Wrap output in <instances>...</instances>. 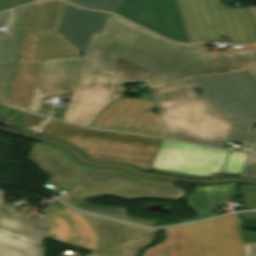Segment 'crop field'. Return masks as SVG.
Segmentation results:
<instances>
[{
	"label": "crop field",
	"instance_id": "6",
	"mask_svg": "<svg viewBox=\"0 0 256 256\" xmlns=\"http://www.w3.org/2000/svg\"><path fill=\"white\" fill-rule=\"evenodd\" d=\"M165 241L143 256H241L239 214L165 229Z\"/></svg>",
	"mask_w": 256,
	"mask_h": 256
},
{
	"label": "crop field",
	"instance_id": "10",
	"mask_svg": "<svg viewBox=\"0 0 256 256\" xmlns=\"http://www.w3.org/2000/svg\"><path fill=\"white\" fill-rule=\"evenodd\" d=\"M229 151L163 140L150 171L185 177L211 178L221 173Z\"/></svg>",
	"mask_w": 256,
	"mask_h": 256
},
{
	"label": "crop field",
	"instance_id": "3",
	"mask_svg": "<svg viewBox=\"0 0 256 256\" xmlns=\"http://www.w3.org/2000/svg\"><path fill=\"white\" fill-rule=\"evenodd\" d=\"M191 89L187 80L150 91L171 138L220 148L224 141L242 143L239 149L254 148L255 125L226 121Z\"/></svg>",
	"mask_w": 256,
	"mask_h": 256
},
{
	"label": "crop field",
	"instance_id": "4",
	"mask_svg": "<svg viewBox=\"0 0 256 256\" xmlns=\"http://www.w3.org/2000/svg\"><path fill=\"white\" fill-rule=\"evenodd\" d=\"M158 231L83 214L51 201L46 236L106 256H135Z\"/></svg>",
	"mask_w": 256,
	"mask_h": 256
},
{
	"label": "crop field",
	"instance_id": "5",
	"mask_svg": "<svg viewBox=\"0 0 256 256\" xmlns=\"http://www.w3.org/2000/svg\"><path fill=\"white\" fill-rule=\"evenodd\" d=\"M65 4L47 0L30 5L8 104L28 110L43 59L82 55L56 32Z\"/></svg>",
	"mask_w": 256,
	"mask_h": 256
},
{
	"label": "crop field",
	"instance_id": "31",
	"mask_svg": "<svg viewBox=\"0 0 256 256\" xmlns=\"http://www.w3.org/2000/svg\"><path fill=\"white\" fill-rule=\"evenodd\" d=\"M33 1H37V0H32L31 2H33Z\"/></svg>",
	"mask_w": 256,
	"mask_h": 256
},
{
	"label": "crop field",
	"instance_id": "18",
	"mask_svg": "<svg viewBox=\"0 0 256 256\" xmlns=\"http://www.w3.org/2000/svg\"><path fill=\"white\" fill-rule=\"evenodd\" d=\"M246 155L247 153L244 152L231 151L223 174H226L225 176H240Z\"/></svg>",
	"mask_w": 256,
	"mask_h": 256
},
{
	"label": "crop field",
	"instance_id": "15",
	"mask_svg": "<svg viewBox=\"0 0 256 256\" xmlns=\"http://www.w3.org/2000/svg\"><path fill=\"white\" fill-rule=\"evenodd\" d=\"M107 15L78 9L67 3L57 32L84 55L92 31L103 32Z\"/></svg>",
	"mask_w": 256,
	"mask_h": 256
},
{
	"label": "crop field",
	"instance_id": "16",
	"mask_svg": "<svg viewBox=\"0 0 256 256\" xmlns=\"http://www.w3.org/2000/svg\"><path fill=\"white\" fill-rule=\"evenodd\" d=\"M236 184L237 183L204 185V187H197L194 194L187 197V204L190 208L197 210L198 217L172 223H182L216 216V214L209 208L222 206L220 203L226 201L227 198L237 196L235 190ZM172 223H166L163 225Z\"/></svg>",
	"mask_w": 256,
	"mask_h": 256
},
{
	"label": "crop field",
	"instance_id": "7",
	"mask_svg": "<svg viewBox=\"0 0 256 256\" xmlns=\"http://www.w3.org/2000/svg\"><path fill=\"white\" fill-rule=\"evenodd\" d=\"M57 140L95 161L122 163L150 170L162 140L130 134L102 132L62 124Z\"/></svg>",
	"mask_w": 256,
	"mask_h": 256
},
{
	"label": "crop field",
	"instance_id": "14",
	"mask_svg": "<svg viewBox=\"0 0 256 256\" xmlns=\"http://www.w3.org/2000/svg\"><path fill=\"white\" fill-rule=\"evenodd\" d=\"M28 7L29 5L14 10L8 31L0 29V102L7 101ZM10 13L11 11L0 14V26L8 24Z\"/></svg>",
	"mask_w": 256,
	"mask_h": 256
},
{
	"label": "crop field",
	"instance_id": "17",
	"mask_svg": "<svg viewBox=\"0 0 256 256\" xmlns=\"http://www.w3.org/2000/svg\"><path fill=\"white\" fill-rule=\"evenodd\" d=\"M77 6L114 12L124 0H67Z\"/></svg>",
	"mask_w": 256,
	"mask_h": 256
},
{
	"label": "crop field",
	"instance_id": "29",
	"mask_svg": "<svg viewBox=\"0 0 256 256\" xmlns=\"http://www.w3.org/2000/svg\"><path fill=\"white\" fill-rule=\"evenodd\" d=\"M256 80V71L248 72Z\"/></svg>",
	"mask_w": 256,
	"mask_h": 256
},
{
	"label": "crop field",
	"instance_id": "25",
	"mask_svg": "<svg viewBox=\"0 0 256 256\" xmlns=\"http://www.w3.org/2000/svg\"><path fill=\"white\" fill-rule=\"evenodd\" d=\"M46 120H47L46 118H42V117L27 113L25 122H24V126L21 131L27 133L31 129L42 125Z\"/></svg>",
	"mask_w": 256,
	"mask_h": 256
},
{
	"label": "crop field",
	"instance_id": "2",
	"mask_svg": "<svg viewBox=\"0 0 256 256\" xmlns=\"http://www.w3.org/2000/svg\"><path fill=\"white\" fill-rule=\"evenodd\" d=\"M30 161L51 179L47 183L72 195L61 198L81 210L104 214L144 225L153 226L132 218L123 208L92 205L87 199L95 196L114 195L126 199L160 197L180 199L184 192L173 185L140 180L118 172H102L82 168L66 158L61 151L34 145Z\"/></svg>",
	"mask_w": 256,
	"mask_h": 256
},
{
	"label": "crop field",
	"instance_id": "12",
	"mask_svg": "<svg viewBox=\"0 0 256 256\" xmlns=\"http://www.w3.org/2000/svg\"><path fill=\"white\" fill-rule=\"evenodd\" d=\"M0 190V256H40L44 216L13 211L2 203Z\"/></svg>",
	"mask_w": 256,
	"mask_h": 256
},
{
	"label": "crop field",
	"instance_id": "13",
	"mask_svg": "<svg viewBox=\"0 0 256 256\" xmlns=\"http://www.w3.org/2000/svg\"><path fill=\"white\" fill-rule=\"evenodd\" d=\"M114 13L167 39L190 43L176 0H125Z\"/></svg>",
	"mask_w": 256,
	"mask_h": 256
},
{
	"label": "crop field",
	"instance_id": "11",
	"mask_svg": "<svg viewBox=\"0 0 256 256\" xmlns=\"http://www.w3.org/2000/svg\"><path fill=\"white\" fill-rule=\"evenodd\" d=\"M151 97L120 98L108 105L96 118L92 127L170 138Z\"/></svg>",
	"mask_w": 256,
	"mask_h": 256
},
{
	"label": "crop field",
	"instance_id": "32",
	"mask_svg": "<svg viewBox=\"0 0 256 256\" xmlns=\"http://www.w3.org/2000/svg\"><path fill=\"white\" fill-rule=\"evenodd\" d=\"M138 219V218H137ZM141 220H143V219H141ZM147 221V220H146ZM151 222V221H150Z\"/></svg>",
	"mask_w": 256,
	"mask_h": 256
},
{
	"label": "crop field",
	"instance_id": "30",
	"mask_svg": "<svg viewBox=\"0 0 256 256\" xmlns=\"http://www.w3.org/2000/svg\"><path fill=\"white\" fill-rule=\"evenodd\" d=\"M87 256H99V255H95V254H89V255H87Z\"/></svg>",
	"mask_w": 256,
	"mask_h": 256
},
{
	"label": "crop field",
	"instance_id": "21",
	"mask_svg": "<svg viewBox=\"0 0 256 256\" xmlns=\"http://www.w3.org/2000/svg\"><path fill=\"white\" fill-rule=\"evenodd\" d=\"M34 144L45 145V146L57 148V149L61 150V151L63 152V154H64L65 156H67L70 160H72L74 163H76V164H78V165H80V166H82V167L92 168V169H96V170H103V171H118V172H122V173H125V174H127V175H130V176L136 177V178L147 179V180H154V181H160V182H165V183L172 184V182H170V181H164V180H157V179L139 177V176H136V175H134V174H132V173H129V172H127V171H124V170H113V169H105V168H97V167L86 166V165H83V164L77 162L75 159H73V158L69 155V153H68L66 150H64V149H62V148H58V147H55V146H52V145H49V144H46V143H34Z\"/></svg>",
	"mask_w": 256,
	"mask_h": 256
},
{
	"label": "crop field",
	"instance_id": "23",
	"mask_svg": "<svg viewBox=\"0 0 256 256\" xmlns=\"http://www.w3.org/2000/svg\"><path fill=\"white\" fill-rule=\"evenodd\" d=\"M241 177L256 178V153L247 155Z\"/></svg>",
	"mask_w": 256,
	"mask_h": 256
},
{
	"label": "crop field",
	"instance_id": "9",
	"mask_svg": "<svg viewBox=\"0 0 256 256\" xmlns=\"http://www.w3.org/2000/svg\"><path fill=\"white\" fill-rule=\"evenodd\" d=\"M189 81L227 119L256 123V83L246 72Z\"/></svg>",
	"mask_w": 256,
	"mask_h": 256
},
{
	"label": "crop field",
	"instance_id": "19",
	"mask_svg": "<svg viewBox=\"0 0 256 256\" xmlns=\"http://www.w3.org/2000/svg\"><path fill=\"white\" fill-rule=\"evenodd\" d=\"M242 256H256V232L242 230Z\"/></svg>",
	"mask_w": 256,
	"mask_h": 256
},
{
	"label": "crop field",
	"instance_id": "26",
	"mask_svg": "<svg viewBox=\"0 0 256 256\" xmlns=\"http://www.w3.org/2000/svg\"><path fill=\"white\" fill-rule=\"evenodd\" d=\"M31 0H0V11L30 3Z\"/></svg>",
	"mask_w": 256,
	"mask_h": 256
},
{
	"label": "crop field",
	"instance_id": "20",
	"mask_svg": "<svg viewBox=\"0 0 256 256\" xmlns=\"http://www.w3.org/2000/svg\"><path fill=\"white\" fill-rule=\"evenodd\" d=\"M240 188L241 194L245 196L243 199L244 206L247 208L256 209V185H241Z\"/></svg>",
	"mask_w": 256,
	"mask_h": 256
},
{
	"label": "crop field",
	"instance_id": "1",
	"mask_svg": "<svg viewBox=\"0 0 256 256\" xmlns=\"http://www.w3.org/2000/svg\"><path fill=\"white\" fill-rule=\"evenodd\" d=\"M256 70V50L206 56L199 44L168 42L121 18L108 15L103 34L92 33L85 56L44 60L29 112L43 97L72 91L63 120L89 126L124 84L149 89L186 79Z\"/></svg>",
	"mask_w": 256,
	"mask_h": 256
},
{
	"label": "crop field",
	"instance_id": "22",
	"mask_svg": "<svg viewBox=\"0 0 256 256\" xmlns=\"http://www.w3.org/2000/svg\"><path fill=\"white\" fill-rule=\"evenodd\" d=\"M25 114V112L9 107L5 120H9L11 122L13 129L20 130L23 125Z\"/></svg>",
	"mask_w": 256,
	"mask_h": 256
},
{
	"label": "crop field",
	"instance_id": "28",
	"mask_svg": "<svg viewBox=\"0 0 256 256\" xmlns=\"http://www.w3.org/2000/svg\"><path fill=\"white\" fill-rule=\"evenodd\" d=\"M5 108H6L5 105L0 104V124H1L2 117H3L4 112H5Z\"/></svg>",
	"mask_w": 256,
	"mask_h": 256
},
{
	"label": "crop field",
	"instance_id": "8",
	"mask_svg": "<svg viewBox=\"0 0 256 256\" xmlns=\"http://www.w3.org/2000/svg\"><path fill=\"white\" fill-rule=\"evenodd\" d=\"M190 42L222 41L230 44L256 42V28L244 8L232 9L221 0H177Z\"/></svg>",
	"mask_w": 256,
	"mask_h": 256
},
{
	"label": "crop field",
	"instance_id": "27",
	"mask_svg": "<svg viewBox=\"0 0 256 256\" xmlns=\"http://www.w3.org/2000/svg\"><path fill=\"white\" fill-rule=\"evenodd\" d=\"M254 22L256 23V7L255 8H247Z\"/></svg>",
	"mask_w": 256,
	"mask_h": 256
},
{
	"label": "crop field",
	"instance_id": "33",
	"mask_svg": "<svg viewBox=\"0 0 256 256\" xmlns=\"http://www.w3.org/2000/svg\"><path fill=\"white\" fill-rule=\"evenodd\" d=\"M256 151V150H255Z\"/></svg>",
	"mask_w": 256,
	"mask_h": 256
},
{
	"label": "crop field",
	"instance_id": "24",
	"mask_svg": "<svg viewBox=\"0 0 256 256\" xmlns=\"http://www.w3.org/2000/svg\"><path fill=\"white\" fill-rule=\"evenodd\" d=\"M61 124H62L61 122L49 119L46 122V124L43 126L44 130L41 132L43 137L56 139L58 132L60 130Z\"/></svg>",
	"mask_w": 256,
	"mask_h": 256
}]
</instances>
